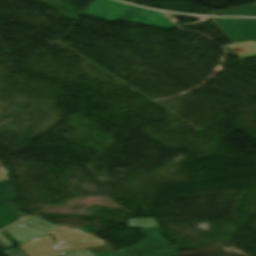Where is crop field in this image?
I'll use <instances>...</instances> for the list:
<instances>
[{
  "instance_id": "crop-field-3",
  "label": "crop field",
  "mask_w": 256,
  "mask_h": 256,
  "mask_svg": "<svg viewBox=\"0 0 256 256\" xmlns=\"http://www.w3.org/2000/svg\"><path fill=\"white\" fill-rule=\"evenodd\" d=\"M19 247L28 256H60L56 245L49 235L21 244Z\"/></svg>"
},
{
  "instance_id": "crop-field-2",
  "label": "crop field",
  "mask_w": 256,
  "mask_h": 256,
  "mask_svg": "<svg viewBox=\"0 0 256 256\" xmlns=\"http://www.w3.org/2000/svg\"><path fill=\"white\" fill-rule=\"evenodd\" d=\"M232 43L256 42V19L211 18Z\"/></svg>"
},
{
  "instance_id": "crop-field-1",
  "label": "crop field",
  "mask_w": 256,
  "mask_h": 256,
  "mask_svg": "<svg viewBox=\"0 0 256 256\" xmlns=\"http://www.w3.org/2000/svg\"><path fill=\"white\" fill-rule=\"evenodd\" d=\"M82 14L108 21L127 20L167 29L176 27L159 11L141 9L113 0H93Z\"/></svg>"
},
{
  "instance_id": "crop-field-4",
  "label": "crop field",
  "mask_w": 256,
  "mask_h": 256,
  "mask_svg": "<svg viewBox=\"0 0 256 256\" xmlns=\"http://www.w3.org/2000/svg\"><path fill=\"white\" fill-rule=\"evenodd\" d=\"M20 217L16 216V206L5 203L0 206V229L16 222Z\"/></svg>"
},
{
  "instance_id": "crop-field-5",
  "label": "crop field",
  "mask_w": 256,
  "mask_h": 256,
  "mask_svg": "<svg viewBox=\"0 0 256 256\" xmlns=\"http://www.w3.org/2000/svg\"><path fill=\"white\" fill-rule=\"evenodd\" d=\"M225 46L227 47L228 50L238 48V47L242 48L244 52L235 54L240 59L256 56V43H254L253 41L236 43V44H228Z\"/></svg>"
},
{
  "instance_id": "crop-field-10",
  "label": "crop field",
  "mask_w": 256,
  "mask_h": 256,
  "mask_svg": "<svg viewBox=\"0 0 256 256\" xmlns=\"http://www.w3.org/2000/svg\"><path fill=\"white\" fill-rule=\"evenodd\" d=\"M9 252H7L8 256H26L20 249L16 248L14 250H12L11 248H9Z\"/></svg>"
},
{
  "instance_id": "crop-field-8",
  "label": "crop field",
  "mask_w": 256,
  "mask_h": 256,
  "mask_svg": "<svg viewBox=\"0 0 256 256\" xmlns=\"http://www.w3.org/2000/svg\"><path fill=\"white\" fill-rule=\"evenodd\" d=\"M21 222H24V223H27V224H30V225H33V226H36V227H39V228H42L46 231H49V230H52V229H55V228H58L57 226L41 219V218H37V217H33V218H29V219H26V220H22Z\"/></svg>"
},
{
  "instance_id": "crop-field-6",
  "label": "crop field",
  "mask_w": 256,
  "mask_h": 256,
  "mask_svg": "<svg viewBox=\"0 0 256 256\" xmlns=\"http://www.w3.org/2000/svg\"><path fill=\"white\" fill-rule=\"evenodd\" d=\"M219 14L220 15L256 16V4L220 11Z\"/></svg>"
},
{
  "instance_id": "crop-field-7",
  "label": "crop field",
  "mask_w": 256,
  "mask_h": 256,
  "mask_svg": "<svg viewBox=\"0 0 256 256\" xmlns=\"http://www.w3.org/2000/svg\"><path fill=\"white\" fill-rule=\"evenodd\" d=\"M14 199V192L9 180L0 181V205Z\"/></svg>"
},
{
  "instance_id": "crop-field-12",
  "label": "crop field",
  "mask_w": 256,
  "mask_h": 256,
  "mask_svg": "<svg viewBox=\"0 0 256 256\" xmlns=\"http://www.w3.org/2000/svg\"><path fill=\"white\" fill-rule=\"evenodd\" d=\"M0 167H3V164L0 162Z\"/></svg>"
},
{
  "instance_id": "crop-field-11",
  "label": "crop field",
  "mask_w": 256,
  "mask_h": 256,
  "mask_svg": "<svg viewBox=\"0 0 256 256\" xmlns=\"http://www.w3.org/2000/svg\"><path fill=\"white\" fill-rule=\"evenodd\" d=\"M7 174H6V171H5V168H0V180H4V179H7Z\"/></svg>"
},
{
  "instance_id": "crop-field-9",
  "label": "crop field",
  "mask_w": 256,
  "mask_h": 256,
  "mask_svg": "<svg viewBox=\"0 0 256 256\" xmlns=\"http://www.w3.org/2000/svg\"><path fill=\"white\" fill-rule=\"evenodd\" d=\"M0 246L4 249L14 246L8 239H6L2 234H0Z\"/></svg>"
}]
</instances>
